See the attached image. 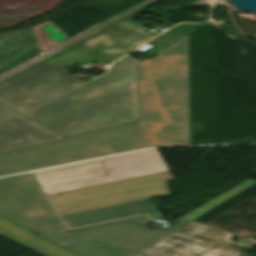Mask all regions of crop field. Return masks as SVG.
Instances as JSON below:
<instances>
[{"instance_id":"8a807250","label":"crop field","mask_w":256,"mask_h":256,"mask_svg":"<svg viewBox=\"0 0 256 256\" xmlns=\"http://www.w3.org/2000/svg\"><path fill=\"white\" fill-rule=\"evenodd\" d=\"M139 120L0 154V173L57 165L150 146L189 144L187 36L137 64Z\"/></svg>"},{"instance_id":"ac0d7876","label":"crop field","mask_w":256,"mask_h":256,"mask_svg":"<svg viewBox=\"0 0 256 256\" xmlns=\"http://www.w3.org/2000/svg\"><path fill=\"white\" fill-rule=\"evenodd\" d=\"M137 63L127 55L103 76L24 116L62 138L138 120Z\"/></svg>"},{"instance_id":"34b2d1b8","label":"crop field","mask_w":256,"mask_h":256,"mask_svg":"<svg viewBox=\"0 0 256 256\" xmlns=\"http://www.w3.org/2000/svg\"><path fill=\"white\" fill-rule=\"evenodd\" d=\"M147 215L67 230L58 217L22 224L81 256H132L187 225L184 220L166 230L151 231Z\"/></svg>"},{"instance_id":"412701ff","label":"crop field","mask_w":256,"mask_h":256,"mask_svg":"<svg viewBox=\"0 0 256 256\" xmlns=\"http://www.w3.org/2000/svg\"><path fill=\"white\" fill-rule=\"evenodd\" d=\"M105 159H109V161L103 162L106 175H104L101 162L39 174L64 167L86 164ZM99 160L37 171L34 172V175L46 193L49 194L168 170L156 149L118 155Z\"/></svg>"},{"instance_id":"f4fd0767","label":"crop field","mask_w":256,"mask_h":256,"mask_svg":"<svg viewBox=\"0 0 256 256\" xmlns=\"http://www.w3.org/2000/svg\"><path fill=\"white\" fill-rule=\"evenodd\" d=\"M169 171L47 195L60 216L169 193Z\"/></svg>"},{"instance_id":"dd49c442","label":"crop field","mask_w":256,"mask_h":256,"mask_svg":"<svg viewBox=\"0 0 256 256\" xmlns=\"http://www.w3.org/2000/svg\"><path fill=\"white\" fill-rule=\"evenodd\" d=\"M72 64L41 63L0 84V101L26 113L83 84L65 72Z\"/></svg>"},{"instance_id":"e52e79f7","label":"crop field","mask_w":256,"mask_h":256,"mask_svg":"<svg viewBox=\"0 0 256 256\" xmlns=\"http://www.w3.org/2000/svg\"><path fill=\"white\" fill-rule=\"evenodd\" d=\"M151 37L123 21L45 62L111 63Z\"/></svg>"},{"instance_id":"d8731c3e","label":"crop field","mask_w":256,"mask_h":256,"mask_svg":"<svg viewBox=\"0 0 256 256\" xmlns=\"http://www.w3.org/2000/svg\"><path fill=\"white\" fill-rule=\"evenodd\" d=\"M0 215L18 224L56 216L31 174L0 179Z\"/></svg>"},{"instance_id":"5a996713","label":"crop field","mask_w":256,"mask_h":256,"mask_svg":"<svg viewBox=\"0 0 256 256\" xmlns=\"http://www.w3.org/2000/svg\"><path fill=\"white\" fill-rule=\"evenodd\" d=\"M233 234L190 223L168 237L143 250L142 254L157 256H189L212 246L231 243Z\"/></svg>"},{"instance_id":"3316defc","label":"crop field","mask_w":256,"mask_h":256,"mask_svg":"<svg viewBox=\"0 0 256 256\" xmlns=\"http://www.w3.org/2000/svg\"><path fill=\"white\" fill-rule=\"evenodd\" d=\"M59 138L0 103V153Z\"/></svg>"},{"instance_id":"28ad6ade","label":"crop field","mask_w":256,"mask_h":256,"mask_svg":"<svg viewBox=\"0 0 256 256\" xmlns=\"http://www.w3.org/2000/svg\"><path fill=\"white\" fill-rule=\"evenodd\" d=\"M40 52L31 28L0 34V73Z\"/></svg>"},{"instance_id":"d1516ede","label":"crop field","mask_w":256,"mask_h":256,"mask_svg":"<svg viewBox=\"0 0 256 256\" xmlns=\"http://www.w3.org/2000/svg\"><path fill=\"white\" fill-rule=\"evenodd\" d=\"M153 202V201H152ZM150 199L135 201L76 214L62 216V219L69 227L82 226L96 222L123 218L128 216L140 215L152 211L157 208Z\"/></svg>"},{"instance_id":"22f410ed","label":"crop field","mask_w":256,"mask_h":256,"mask_svg":"<svg viewBox=\"0 0 256 256\" xmlns=\"http://www.w3.org/2000/svg\"><path fill=\"white\" fill-rule=\"evenodd\" d=\"M0 235L42 255L77 256L74 253L0 216Z\"/></svg>"},{"instance_id":"cbeb9de0","label":"crop field","mask_w":256,"mask_h":256,"mask_svg":"<svg viewBox=\"0 0 256 256\" xmlns=\"http://www.w3.org/2000/svg\"><path fill=\"white\" fill-rule=\"evenodd\" d=\"M36 34L41 51H44L68 38L63 31L53 25L51 22L46 21L33 28Z\"/></svg>"},{"instance_id":"5142ce71","label":"crop field","mask_w":256,"mask_h":256,"mask_svg":"<svg viewBox=\"0 0 256 256\" xmlns=\"http://www.w3.org/2000/svg\"><path fill=\"white\" fill-rule=\"evenodd\" d=\"M255 184V181L248 179L242 182L241 184L235 186L234 188L228 190L227 192L221 194L220 196L214 198L213 200L207 202L206 204L191 212L184 218L194 220L200 217L201 215L205 214L206 212L212 210L213 208L217 207L218 205L224 203L225 201L231 199L232 197L238 195L239 193L245 191L246 189L252 187Z\"/></svg>"},{"instance_id":"d9b57169","label":"crop field","mask_w":256,"mask_h":256,"mask_svg":"<svg viewBox=\"0 0 256 256\" xmlns=\"http://www.w3.org/2000/svg\"><path fill=\"white\" fill-rule=\"evenodd\" d=\"M250 248L252 247L242 245L240 243L228 244L208 249L203 253L199 254V256H239Z\"/></svg>"},{"instance_id":"733c2abd","label":"crop field","mask_w":256,"mask_h":256,"mask_svg":"<svg viewBox=\"0 0 256 256\" xmlns=\"http://www.w3.org/2000/svg\"><path fill=\"white\" fill-rule=\"evenodd\" d=\"M241 256H249V255H247V254L244 253V254H242Z\"/></svg>"},{"instance_id":"4a817a6b","label":"crop field","mask_w":256,"mask_h":256,"mask_svg":"<svg viewBox=\"0 0 256 256\" xmlns=\"http://www.w3.org/2000/svg\"><path fill=\"white\" fill-rule=\"evenodd\" d=\"M134 256H143V255L136 254V255H134Z\"/></svg>"}]
</instances>
